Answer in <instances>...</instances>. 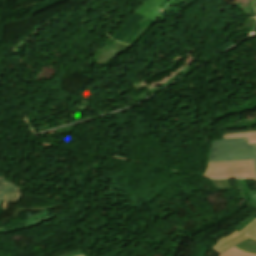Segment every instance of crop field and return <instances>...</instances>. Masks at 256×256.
<instances>
[{"label": "crop field", "instance_id": "8a807250", "mask_svg": "<svg viewBox=\"0 0 256 256\" xmlns=\"http://www.w3.org/2000/svg\"><path fill=\"white\" fill-rule=\"evenodd\" d=\"M253 159L256 172V144L248 145L247 138L216 140L209 162H226Z\"/></svg>", "mask_w": 256, "mask_h": 256}, {"label": "crop field", "instance_id": "ac0d7876", "mask_svg": "<svg viewBox=\"0 0 256 256\" xmlns=\"http://www.w3.org/2000/svg\"><path fill=\"white\" fill-rule=\"evenodd\" d=\"M205 176L211 178L256 179L252 160L226 163H209V167Z\"/></svg>", "mask_w": 256, "mask_h": 256}, {"label": "crop field", "instance_id": "34b2d1b8", "mask_svg": "<svg viewBox=\"0 0 256 256\" xmlns=\"http://www.w3.org/2000/svg\"><path fill=\"white\" fill-rule=\"evenodd\" d=\"M248 238L256 239V218L254 220H252L248 225H246L239 232L236 231V232L232 233L231 235L220 239L218 241V243L215 246H213L211 249H213L221 254L226 249H228L232 246H235L236 244H238ZM235 247H237V246H235ZM237 248H239V247H237ZM239 249H241V248H239ZM241 250H243V249H241ZM244 251H247V250H244ZM248 252H252V251H248ZM252 253H256V252H252Z\"/></svg>", "mask_w": 256, "mask_h": 256}, {"label": "crop field", "instance_id": "412701ff", "mask_svg": "<svg viewBox=\"0 0 256 256\" xmlns=\"http://www.w3.org/2000/svg\"><path fill=\"white\" fill-rule=\"evenodd\" d=\"M19 186L6 181L0 177V201H3V210L5 211L9 203L16 204L21 197L22 193L17 192Z\"/></svg>", "mask_w": 256, "mask_h": 256}, {"label": "crop field", "instance_id": "f4fd0767", "mask_svg": "<svg viewBox=\"0 0 256 256\" xmlns=\"http://www.w3.org/2000/svg\"><path fill=\"white\" fill-rule=\"evenodd\" d=\"M168 0H146L145 3L136 10L135 14L156 20L157 17L164 11L160 7Z\"/></svg>", "mask_w": 256, "mask_h": 256}, {"label": "crop field", "instance_id": "dd49c442", "mask_svg": "<svg viewBox=\"0 0 256 256\" xmlns=\"http://www.w3.org/2000/svg\"><path fill=\"white\" fill-rule=\"evenodd\" d=\"M248 137L249 144L256 143V131H244L237 133H225L223 134L224 139Z\"/></svg>", "mask_w": 256, "mask_h": 256}, {"label": "crop field", "instance_id": "e52e79f7", "mask_svg": "<svg viewBox=\"0 0 256 256\" xmlns=\"http://www.w3.org/2000/svg\"><path fill=\"white\" fill-rule=\"evenodd\" d=\"M213 188L219 189V190H229L231 189V183L230 180H212L209 179Z\"/></svg>", "mask_w": 256, "mask_h": 256}, {"label": "crop field", "instance_id": "d8731c3e", "mask_svg": "<svg viewBox=\"0 0 256 256\" xmlns=\"http://www.w3.org/2000/svg\"><path fill=\"white\" fill-rule=\"evenodd\" d=\"M221 256H256V254L243 252V251H240L237 248L233 247V248L225 251L224 253H222Z\"/></svg>", "mask_w": 256, "mask_h": 256}, {"label": "crop field", "instance_id": "5a996713", "mask_svg": "<svg viewBox=\"0 0 256 256\" xmlns=\"http://www.w3.org/2000/svg\"><path fill=\"white\" fill-rule=\"evenodd\" d=\"M52 208V206H44V207H40V208H29V210H44V209H51ZM23 210H27V209H21V208H18L15 212H14V215L11 217V218H14V217H18L19 215H18V213L19 212H21V211H23ZM44 212H48V211H45L44 210ZM44 212H42V213H44ZM42 213H39V214H42ZM38 215V214H37ZM30 217H32V216H30ZM30 217H28V218H30ZM27 218V219H28ZM25 221V220H24ZM21 222H23V221H21ZM21 222H19V223H21ZM19 223H17V224H19ZM17 224H14V225H17ZM14 225H10V226H14ZM10 226H7V227H10ZM4 228H6V227H4ZM1 229H3V228H1Z\"/></svg>", "mask_w": 256, "mask_h": 256}, {"label": "crop field", "instance_id": "3316defc", "mask_svg": "<svg viewBox=\"0 0 256 256\" xmlns=\"http://www.w3.org/2000/svg\"><path fill=\"white\" fill-rule=\"evenodd\" d=\"M237 246H240L244 249H247V250H252V251H256V240H252V239H249Z\"/></svg>", "mask_w": 256, "mask_h": 256}, {"label": "crop field", "instance_id": "28ad6ade", "mask_svg": "<svg viewBox=\"0 0 256 256\" xmlns=\"http://www.w3.org/2000/svg\"><path fill=\"white\" fill-rule=\"evenodd\" d=\"M174 0H170L168 1L164 6H162L161 8H163L164 10L173 2Z\"/></svg>", "mask_w": 256, "mask_h": 256}, {"label": "crop field", "instance_id": "d1516ede", "mask_svg": "<svg viewBox=\"0 0 256 256\" xmlns=\"http://www.w3.org/2000/svg\"><path fill=\"white\" fill-rule=\"evenodd\" d=\"M46 214H49V213H45V214H43V215H46ZM43 215L35 216V217H33V218L29 219V220H32V219H35V218L41 217V216H43ZM29 220H26V221H29ZM26 221H25V222H26Z\"/></svg>", "mask_w": 256, "mask_h": 256}, {"label": "crop field", "instance_id": "22f410ed", "mask_svg": "<svg viewBox=\"0 0 256 256\" xmlns=\"http://www.w3.org/2000/svg\"><path fill=\"white\" fill-rule=\"evenodd\" d=\"M80 253H83V251L78 252V253H75V254H71V255H68V256H75V255H78V254H80Z\"/></svg>", "mask_w": 256, "mask_h": 256}, {"label": "crop field", "instance_id": "cbeb9de0", "mask_svg": "<svg viewBox=\"0 0 256 256\" xmlns=\"http://www.w3.org/2000/svg\"><path fill=\"white\" fill-rule=\"evenodd\" d=\"M78 251H81V249H79V250H77V251H74V252H71V253H75V252H78ZM71 253H69V254H71ZM66 255H68V254H66ZM65 256V255H64Z\"/></svg>", "mask_w": 256, "mask_h": 256}, {"label": "crop field", "instance_id": "5142ce71", "mask_svg": "<svg viewBox=\"0 0 256 256\" xmlns=\"http://www.w3.org/2000/svg\"><path fill=\"white\" fill-rule=\"evenodd\" d=\"M79 256H85L84 254H82V255H79Z\"/></svg>", "mask_w": 256, "mask_h": 256}]
</instances>
